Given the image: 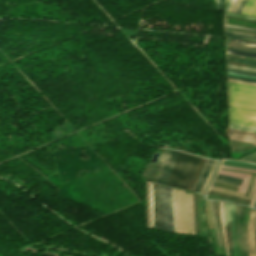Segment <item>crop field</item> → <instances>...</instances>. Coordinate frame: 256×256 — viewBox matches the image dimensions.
Wrapping results in <instances>:
<instances>
[{"instance_id": "obj_1", "label": "crop field", "mask_w": 256, "mask_h": 256, "mask_svg": "<svg viewBox=\"0 0 256 256\" xmlns=\"http://www.w3.org/2000/svg\"><path fill=\"white\" fill-rule=\"evenodd\" d=\"M229 122L256 127V87L228 82Z\"/></svg>"}, {"instance_id": "obj_2", "label": "crop field", "mask_w": 256, "mask_h": 256, "mask_svg": "<svg viewBox=\"0 0 256 256\" xmlns=\"http://www.w3.org/2000/svg\"><path fill=\"white\" fill-rule=\"evenodd\" d=\"M200 160V157L180 152L166 184L187 189L197 171Z\"/></svg>"}, {"instance_id": "obj_3", "label": "crop field", "mask_w": 256, "mask_h": 256, "mask_svg": "<svg viewBox=\"0 0 256 256\" xmlns=\"http://www.w3.org/2000/svg\"><path fill=\"white\" fill-rule=\"evenodd\" d=\"M160 229L173 232L171 188L159 185Z\"/></svg>"}, {"instance_id": "obj_4", "label": "crop field", "mask_w": 256, "mask_h": 256, "mask_svg": "<svg viewBox=\"0 0 256 256\" xmlns=\"http://www.w3.org/2000/svg\"><path fill=\"white\" fill-rule=\"evenodd\" d=\"M176 194H177V189H176ZM178 206H179L180 233H187L184 191L179 189H178ZM178 206H177V215H178ZM175 208H176V195H175ZM177 215H176V223H177ZM178 230H179V225H178Z\"/></svg>"}, {"instance_id": "obj_5", "label": "crop field", "mask_w": 256, "mask_h": 256, "mask_svg": "<svg viewBox=\"0 0 256 256\" xmlns=\"http://www.w3.org/2000/svg\"><path fill=\"white\" fill-rule=\"evenodd\" d=\"M169 151L170 150H168V149L164 150V153H163L158 165L148 164L143 176L148 178L149 180L156 182L159 177V174L163 168V165L165 163V160L168 156Z\"/></svg>"}, {"instance_id": "obj_6", "label": "crop field", "mask_w": 256, "mask_h": 256, "mask_svg": "<svg viewBox=\"0 0 256 256\" xmlns=\"http://www.w3.org/2000/svg\"><path fill=\"white\" fill-rule=\"evenodd\" d=\"M178 153L179 152H177V151H172V150L170 151L169 156L164 165V168L162 170V173L157 182L163 183V184L166 183Z\"/></svg>"}, {"instance_id": "obj_7", "label": "crop field", "mask_w": 256, "mask_h": 256, "mask_svg": "<svg viewBox=\"0 0 256 256\" xmlns=\"http://www.w3.org/2000/svg\"><path fill=\"white\" fill-rule=\"evenodd\" d=\"M185 200L187 208V228L188 233L194 234V215L192 205V193L185 191Z\"/></svg>"}, {"instance_id": "obj_8", "label": "crop field", "mask_w": 256, "mask_h": 256, "mask_svg": "<svg viewBox=\"0 0 256 256\" xmlns=\"http://www.w3.org/2000/svg\"><path fill=\"white\" fill-rule=\"evenodd\" d=\"M213 160H206V163H205V166L203 168V171H202V174H201V177L198 181V183L196 184L195 188H194V191H198L200 192L202 186L204 185L208 175H209V172L212 168V165H213Z\"/></svg>"}, {"instance_id": "obj_9", "label": "crop field", "mask_w": 256, "mask_h": 256, "mask_svg": "<svg viewBox=\"0 0 256 256\" xmlns=\"http://www.w3.org/2000/svg\"><path fill=\"white\" fill-rule=\"evenodd\" d=\"M219 174L244 179L239 191L244 192V193L246 192V188H247V185H248V182H249V179H250L251 175L236 173V172H230V171H224V170H221Z\"/></svg>"}, {"instance_id": "obj_10", "label": "crop field", "mask_w": 256, "mask_h": 256, "mask_svg": "<svg viewBox=\"0 0 256 256\" xmlns=\"http://www.w3.org/2000/svg\"><path fill=\"white\" fill-rule=\"evenodd\" d=\"M227 47L242 50V51L256 52V45H245L232 40L228 41Z\"/></svg>"}, {"instance_id": "obj_11", "label": "crop field", "mask_w": 256, "mask_h": 256, "mask_svg": "<svg viewBox=\"0 0 256 256\" xmlns=\"http://www.w3.org/2000/svg\"><path fill=\"white\" fill-rule=\"evenodd\" d=\"M154 192V219L155 227L159 228V213H158V185L153 183Z\"/></svg>"}, {"instance_id": "obj_12", "label": "crop field", "mask_w": 256, "mask_h": 256, "mask_svg": "<svg viewBox=\"0 0 256 256\" xmlns=\"http://www.w3.org/2000/svg\"><path fill=\"white\" fill-rule=\"evenodd\" d=\"M241 13L256 16V0H248Z\"/></svg>"}, {"instance_id": "obj_13", "label": "crop field", "mask_w": 256, "mask_h": 256, "mask_svg": "<svg viewBox=\"0 0 256 256\" xmlns=\"http://www.w3.org/2000/svg\"><path fill=\"white\" fill-rule=\"evenodd\" d=\"M230 138L256 142V137L230 132Z\"/></svg>"}, {"instance_id": "obj_14", "label": "crop field", "mask_w": 256, "mask_h": 256, "mask_svg": "<svg viewBox=\"0 0 256 256\" xmlns=\"http://www.w3.org/2000/svg\"><path fill=\"white\" fill-rule=\"evenodd\" d=\"M211 190L221 192V193L230 194V195H234V196H238V197H242V198H246V197H244L245 194H243V193L230 191V190H226V189H222V188H218V187H214V186L211 188ZM248 199H251V198H248Z\"/></svg>"}, {"instance_id": "obj_15", "label": "crop field", "mask_w": 256, "mask_h": 256, "mask_svg": "<svg viewBox=\"0 0 256 256\" xmlns=\"http://www.w3.org/2000/svg\"><path fill=\"white\" fill-rule=\"evenodd\" d=\"M206 215L209 229L215 228L210 210V200H206Z\"/></svg>"}, {"instance_id": "obj_16", "label": "crop field", "mask_w": 256, "mask_h": 256, "mask_svg": "<svg viewBox=\"0 0 256 256\" xmlns=\"http://www.w3.org/2000/svg\"><path fill=\"white\" fill-rule=\"evenodd\" d=\"M220 162H221V161H217V162H216V165H215V167H214V170H213V172H212V174H211V176H210V179H209V181H208V183H207V185H206V187H205L203 193H206L207 189L209 188V186L211 185L212 181L214 180V178H215V176H216V174H217V172H218V170H219Z\"/></svg>"}, {"instance_id": "obj_17", "label": "crop field", "mask_w": 256, "mask_h": 256, "mask_svg": "<svg viewBox=\"0 0 256 256\" xmlns=\"http://www.w3.org/2000/svg\"><path fill=\"white\" fill-rule=\"evenodd\" d=\"M217 180L232 183V184H237V185H240V183L242 182L241 179H236V178H231V177H226L221 175L218 176Z\"/></svg>"}, {"instance_id": "obj_18", "label": "crop field", "mask_w": 256, "mask_h": 256, "mask_svg": "<svg viewBox=\"0 0 256 256\" xmlns=\"http://www.w3.org/2000/svg\"><path fill=\"white\" fill-rule=\"evenodd\" d=\"M227 53L256 58V53L242 52V51H236V50H230V49H227Z\"/></svg>"}, {"instance_id": "obj_19", "label": "crop field", "mask_w": 256, "mask_h": 256, "mask_svg": "<svg viewBox=\"0 0 256 256\" xmlns=\"http://www.w3.org/2000/svg\"><path fill=\"white\" fill-rule=\"evenodd\" d=\"M229 125H230V128H233V129L256 132L255 127H249V126H243V125H237V124H231V123H229Z\"/></svg>"}, {"instance_id": "obj_20", "label": "crop field", "mask_w": 256, "mask_h": 256, "mask_svg": "<svg viewBox=\"0 0 256 256\" xmlns=\"http://www.w3.org/2000/svg\"><path fill=\"white\" fill-rule=\"evenodd\" d=\"M226 207H227V203L223 202V218H224L225 226H227ZM230 209H231V203H230ZM228 215H229V203H228V208H227V219H228ZM229 222H231L230 216H229Z\"/></svg>"}, {"instance_id": "obj_21", "label": "crop field", "mask_w": 256, "mask_h": 256, "mask_svg": "<svg viewBox=\"0 0 256 256\" xmlns=\"http://www.w3.org/2000/svg\"><path fill=\"white\" fill-rule=\"evenodd\" d=\"M224 161L243 163V162H238V161H233V160H224ZM223 163H227V162H223ZM237 163H228V164H237ZM244 164H247V163H244ZM244 164H238V165H244ZM223 165H225V166H233V167H240V168H248V169H256V168H251V167L256 166V165H253L251 167H245V166H248V165H245V166L227 165V164H223ZM249 165H252V164H249Z\"/></svg>"}, {"instance_id": "obj_22", "label": "crop field", "mask_w": 256, "mask_h": 256, "mask_svg": "<svg viewBox=\"0 0 256 256\" xmlns=\"http://www.w3.org/2000/svg\"><path fill=\"white\" fill-rule=\"evenodd\" d=\"M227 68L256 72V69H253V68H247V67H241V66H235V65H229V64H227Z\"/></svg>"}, {"instance_id": "obj_23", "label": "crop field", "mask_w": 256, "mask_h": 256, "mask_svg": "<svg viewBox=\"0 0 256 256\" xmlns=\"http://www.w3.org/2000/svg\"><path fill=\"white\" fill-rule=\"evenodd\" d=\"M240 160L249 161V162H255L256 163V152L255 153H251V154L247 155L246 157H244V158H242Z\"/></svg>"}, {"instance_id": "obj_24", "label": "crop field", "mask_w": 256, "mask_h": 256, "mask_svg": "<svg viewBox=\"0 0 256 256\" xmlns=\"http://www.w3.org/2000/svg\"><path fill=\"white\" fill-rule=\"evenodd\" d=\"M149 183L147 181V192H148V216H149V227H151V224H150V192H149Z\"/></svg>"}, {"instance_id": "obj_25", "label": "crop field", "mask_w": 256, "mask_h": 256, "mask_svg": "<svg viewBox=\"0 0 256 256\" xmlns=\"http://www.w3.org/2000/svg\"><path fill=\"white\" fill-rule=\"evenodd\" d=\"M224 26L256 32L255 29H251V28H247V27L234 26V25H227V24H224Z\"/></svg>"}, {"instance_id": "obj_26", "label": "crop field", "mask_w": 256, "mask_h": 256, "mask_svg": "<svg viewBox=\"0 0 256 256\" xmlns=\"http://www.w3.org/2000/svg\"><path fill=\"white\" fill-rule=\"evenodd\" d=\"M227 60L236 61V62H242V63L255 64V65H256V62L246 61V60H240V59H235V58H229V57H227Z\"/></svg>"}, {"instance_id": "obj_27", "label": "crop field", "mask_w": 256, "mask_h": 256, "mask_svg": "<svg viewBox=\"0 0 256 256\" xmlns=\"http://www.w3.org/2000/svg\"><path fill=\"white\" fill-rule=\"evenodd\" d=\"M234 209H235V204L232 203V218H234ZM233 226H234V219H233ZM232 234H233V227H232ZM234 238H235V232H234ZM234 238H233V243H234ZM235 249H236V240H235ZM235 253V250H234ZM236 256H237V251H236Z\"/></svg>"}, {"instance_id": "obj_28", "label": "crop field", "mask_w": 256, "mask_h": 256, "mask_svg": "<svg viewBox=\"0 0 256 256\" xmlns=\"http://www.w3.org/2000/svg\"><path fill=\"white\" fill-rule=\"evenodd\" d=\"M227 77L235 78V79H240V80H245V81H250V82H255L256 83L255 79L242 78V77H236V76H230V75H227Z\"/></svg>"}, {"instance_id": "obj_29", "label": "crop field", "mask_w": 256, "mask_h": 256, "mask_svg": "<svg viewBox=\"0 0 256 256\" xmlns=\"http://www.w3.org/2000/svg\"><path fill=\"white\" fill-rule=\"evenodd\" d=\"M172 200H173V218H174V222H175L174 189L173 188H172ZM174 232H176L175 223H174Z\"/></svg>"}, {"instance_id": "obj_30", "label": "crop field", "mask_w": 256, "mask_h": 256, "mask_svg": "<svg viewBox=\"0 0 256 256\" xmlns=\"http://www.w3.org/2000/svg\"><path fill=\"white\" fill-rule=\"evenodd\" d=\"M255 185H256V175H255V177H254V181H253V185H252V188H251V192H250V196L249 197H252L253 196V192H254V189H255ZM255 191H256V189H255ZM254 195H255V193H254ZM254 197V196H253ZM253 200V199H252ZM252 202V201H251ZM250 205H251V203H250ZM249 205V206H250Z\"/></svg>"}, {"instance_id": "obj_31", "label": "crop field", "mask_w": 256, "mask_h": 256, "mask_svg": "<svg viewBox=\"0 0 256 256\" xmlns=\"http://www.w3.org/2000/svg\"><path fill=\"white\" fill-rule=\"evenodd\" d=\"M225 33H227V34H232V35H237V36H243V37H248V38L256 39V37H255V36L243 35V34H238V33H233V32H227V31H225Z\"/></svg>"}, {"instance_id": "obj_32", "label": "crop field", "mask_w": 256, "mask_h": 256, "mask_svg": "<svg viewBox=\"0 0 256 256\" xmlns=\"http://www.w3.org/2000/svg\"><path fill=\"white\" fill-rule=\"evenodd\" d=\"M220 208H221V221H222L223 234H224V224H223V218H222V202H220ZM224 238H225V234H224ZM225 243H226V239H225ZM226 251H227V245H226ZM227 256H228V253H227Z\"/></svg>"}, {"instance_id": "obj_33", "label": "crop field", "mask_w": 256, "mask_h": 256, "mask_svg": "<svg viewBox=\"0 0 256 256\" xmlns=\"http://www.w3.org/2000/svg\"><path fill=\"white\" fill-rule=\"evenodd\" d=\"M229 130L232 131V132H238V133H243V134H248V135L256 136V133L245 132V131H238V130H232V129H229Z\"/></svg>"}, {"instance_id": "obj_34", "label": "crop field", "mask_w": 256, "mask_h": 256, "mask_svg": "<svg viewBox=\"0 0 256 256\" xmlns=\"http://www.w3.org/2000/svg\"><path fill=\"white\" fill-rule=\"evenodd\" d=\"M227 71H230V72H236V73H243V74H250V75H256V73L243 72V71L230 70V69H227Z\"/></svg>"}, {"instance_id": "obj_35", "label": "crop field", "mask_w": 256, "mask_h": 256, "mask_svg": "<svg viewBox=\"0 0 256 256\" xmlns=\"http://www.w3.org/2000/svg\"><path fill=\"white\" fill-rule=\"evenodd\" d=\"M211 209H212V214H213V218H214V222H215V217H214V213H213L212 201H211ZM215 226H216V222H215ZM216 230H217V227H216ZM217 235H218V240H219V246H220V248H221L218 230H217Z\"/></svg>"}, {"instance_id": "obj_36", "label": "crop field", "mask_w": 256, "mask_h": 256, "mask_svg": "<svg viewBox=\"0 0 256 256\" xmlns=\"http://www.w3.org/2000/svg\"><path fill=\"white\" fill-rule=\"evenodd\" d=\"M228 15H234V16H239V17H244V18H249V19H253L256 20V18H252V17H248V16H244V15H237V14H233V13H226Z\"/></svg>"}, {"instance_id": "obj_37", "label": "crop field", "mask_w": 256, "mask_h": 256, "mask_svg": "<svg viewBox=\"0 0 256 256\" xmlns=\"http://www.w3.org/2000/svg\"><path fill=\"white\" fill-rule=\"evenodd\" d=\"M247 0H243L241 5L239 6L238 10L236 13H240L241 9L243 8L244 4L246 3Z\"/></svg>"}, {"instance_id": "obj_38", "label": "crop field", "mask_w": 256, "mask_h": 256, "mask_svg": "<svg viewBox=\"0 0 256 256\" xmlns=\"http://www.w3.org/2000/svg\"><path fill=\"white\" fill-rule=\"evenodd\" d=\"M241 1H242V0H238L237 4L235 5V7H234V9H233V11H232L233 13L236 12V10H237L238 6L240 5Z\"/></svg>"}, {"instance_id": "obj_39", "label": "crop field", "mask_w": 256, "mask_h": 256, "mask_svg": "<svg viewBox=\"0 0 256 256\" xmlns=\"http://www.w3.org/2000/svg\"><path fill=\"white\" fill-rule=\"evenodd\" d=\"M228 1H229V0H225V1H224V3H223V5H222V7H221L220 10H224V8H225L226 4L228 3Z\"/></svg>"}, {"instance_id": "obj_40", "label": "crop field", "mask_w": 256, "mask_h": 256, "mask_svg": "<svg viewBox=\"0 0 256 256\" xmlns=\"http://www.w3.org/2000/svg\"><path fill=\"white\" fill-rule=\"evenodd\" d=\"M225 167V166H222ZM225 168H232V169H239V170H247V169H240V168H233V167H225ZM247 171H255V170H247ZM256 172V171H255Z\"/></svg>"}, {"instance_id": "obj_41", "label": "crop field", "mask_w": 256, "mask_h": 256, "mask_svg": "<svg viewBox=\"0 0 256 256\" xmlns=\"http://www.w3.org/2000/svg\"><path fill=\"white\" fill-rule=\"evenodd\" d=\"M230 81V80H228ZM230 82H236V81H230ZM236 83H241V82H236ZM242 84H247V83H242ZM247 85H253V84H247ZM253 86H256V85H253Z\"/></svg>"}, {"instance_id": "obj_42", "label": "crop field", "mask_w": 256, "mask_h": 256, "mask_svg": "<svg viewBox=\"0 0 256 256\" xmlns=\"http://www.w3.org/2000/svg\"><path fill=\"white\" fill-rule=\"evenodd\" d=\"M223 1H224V0H220L219 6H218V8H217V9H220V7H221V5H222Z\"/></svg>"}, {"instance_id": "obj_43", "label": "crop field", "mask_w": 256, "mask_h": 256, "mask_svg": "<svg viewBox=\"0 0 256 256\" xmlns=\"http://www.w3.org/2000/svg\"><path fill=\"white\" fill-rule=\"evenodd\" d=\"M227 35V34H225ZM227 36H232V35H227ZM232 37H237V36H232ZM238 38H241V37H238ZM243 39H246V38H243ZM248 40H251V39H248ZM253 41H256V40H253Z\"/></svg>"}, {"instance_id": "obj_44", "label": "crop field", "mask_w": 256, "mask_h": 256, "mask_svg": "<svg viewBox=\"0 0 256 256\" xmlns=\"http://www.w3.org/2000/svg\"><path fill=\"white\" fill-rule=\"evenodd\" d=\"M231 2H232V0L229 1L228 5H227V7H226V9H225V11H227V9H228V7H229V5H230Z\"/></svg>"}, {"instance_id": "obj_45", "label": "crop field", "mask_w": 256, "mask_h": 256, "mask_svg": "<svg viewBox=\"0 0 256 256\" xmlns=\"http://www.w3.org/2000/svg\"><path fill=\"white\" fill-rule=\"evenodd\" d=\"M253 207H256V198H255V201L253 203Z\"/></svg>"}, {"instance_id": "obj_46", "label": "crop field", "mask_w": 256, "mask_h": 256, "mask_svg": "<svg viewBox=\"0 0 256 256\" xmlns=\"http://www.w3.org/2000/svg\"><path fill=\"white\" fill-rule=\"evenodd\" d=\"M227 74H229V73H227ZM230 75H235V74H230ZM236 76H240V75H236ZM243 77H246V76H243ZM249 78H252V77H249ZM256 79V78H255Z\"/></svg>"}, {"instance_id": "obj_47", "label": "crop field", "mask_w": 256, "mask_h": 256, "mask_svg": "<svg viewBox=\"0 0 256 256\" xmlns=\"http://www.w3.org/2000/svg\"><path fill=\"white\" fill-rule=\"evenodd\" d=\"M228 79H230V78H228ZM230 80H235V79H230ZM236 81H240V80H236ZM242 82H244V81H242ZM247 83H249V82H247ZM254 84V83H253Z\"/></svg>"}, {"instance_id": "obj_48", "label": "crop field", "mask_w": 256, "mask_h": 256, "mask_svg": "<svg viewBox=\"0 0 256 256\" xmlns=\"http://www.w3.org/2000/svg\"><path fill=\"white\" fill-rule=\"evenodd\" d=\"M230 73V72H229ZM236 74V73H235ZM240 75H243V74H240ZM246 76H250V75H246ZM252 77H256V76H252Z\"/></svg>"}, {"instance_id": "obj_49", "label": "crop field", "mask_w": 256, "mask_h": 256, "mask_svg": "<svg viewBox=\"0 0 256 256\" xmlns=\"http://www.w3.org/2000/svg\"><path fill=\"white\" fill-rule=\"evenodd\" d=\"M217 4L219 3V0H216Z\"/></svg>"}, {"instance_id": "obj_50", "label": "crop field", "mask_w": 256, "mask_h": 256, "mask_svg": "<svg viewBox=\"0 0 256 256\" xmlns=\"http://www.w3.org/2000/svg\"><path fill=\"white\" fill-rule=\"evenodd\" d=\"M255 198V197H254ZM254 201V200H253Z\"/></svg>"}]
</instances>
